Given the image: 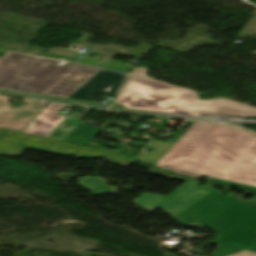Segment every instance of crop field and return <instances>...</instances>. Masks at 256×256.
Listing matches in <instances>:
<instances>
[{"label": "crop field", "mask_w": 256, "mask_h": 256, "mask_svg": "<svg viewBox=\"0 0 256 256\" xmlns=\"http://www.w3.org/2000/svg\"><path fill=\"white\" fill-rule=\"evenodd\" d=\"M155 166L256 187V135L228 125L195 122Z\"/></svg>", "instance_id": "obj_1"}, {"label": "crop field", "mask_w": 256, "mask_h": 256, "mask_svg": "<svg viewBox=\"0 0 256 256\" xmlns=\"http://www.w3.org/2000/svg\"><path fill=\"white\" fill-rule=\"evenodd\" d=\"M198 185L187 182L167 196L144 193L132 203L149 212L160 207L184 226L218 232L217 238L208 244L233 245L256 252V205L224 196L214 186Z\"/></svg>", "instance_id": "obj_2"}, {"label": "crop field", "mask_w": 256, "mask_h": 256, "mask_svg": "<svg viewBox=\"0 0 256 256\" xmlns=\"http://www.w3.org/2000/svg\"><path fill=\"white\" fill-rule=\"evenodd\" d=\"M146 68H134L114 103L132 106L256 112V108L224 98L201 101L197 92L148 78Z\"/></svg>", "instance_id": "obj_3"}, {"label": "crop field", "mask_w": 256, "mask_h": 256, "mask_svg": "<svg viewBox=\"0 0 256 256\" xmlns=\"http://www.w3.org/2000/svg\"><path fill=\"white\" fill-rule=\"evenodd\" d=\"M41 58L6 89L68 98L89 80L99 68Z\"/></svg>", "instance_id": "obj_4"}, {"label": "crop field", "mask_w": 256, "mask_h": 256, "mask_svg": "<svg viewBox=\"0 0 256 256\" xmlns=\"http://www.w3.org/2000/svg\"><path fill=\"white\" fill-rule=\"evenodd\" d=\"M26 148L56 155H73L77 158L84 159L104 156L112 164L124 166L132 162L130 159L111 152H102L90 148L0 130V155L18 156Z\"/></svg>", "instance_id": "obj_5"}, {"label": "crop field", "mask_w": 256, "mask_h": 256, "mask_svg": "<svg viewBox=\"0 0 256 256\" xmlns=\"http://www.w3.org/2000/svg\"><path fill=\"white\" fill-rule=\"evenodd\" d=\"M127 75L101 69L69 98L97 102L100 94L115 96Z\"/></svg>", "instance_id": "obj_6"}, {"label": "crop field", "mask_w": 256, "mask_h": 256, "mask_svg": "<svg viewBox=\"0 0 256 256\" xmlns=\"http://www.w3.org/2000/svg\"><path fill=\"white\" fill-rule=\"evenodd\" d=\"M9 98L8 96L0 95V129L18 133H21L48 104L46 102L25 99V102H29V104L15 110L9 108Z\"/></svg>", "instance_id": "obj_7"}, {"label": "crop field", "mask_w": 256, "mask_h": 256, "mask_svg": "<svg viewBox=\"0 0 256 256\" xmlns=\"http://www.w3.org/2000/svg\"><path fill=\"white\" fill-rule=\"evenodd\" d=\"M40 57L9 52L0 58V89H5Z\"/></svg>", "instance_id": "obj_8"}, {"label": "crop field", "mask_w": 256, "mask_h": 256, "mask_svg": "<svg viewBox=\"0 0 256 256\" xmlns=\"http://www.w3.org/2000/svg\"><path fill=\"white\" fill-rule=\"evenodd\" d=\"M103 129L79 123L64 141L87 146Z\"/></svg>", "instance_id": "obj_9"}, {"label": "crop field", "mask_w": 256, "mask_h": 256, "mask_svg": "<svg viewBox=\"0 0 256 256\" xmlns=\"http://www.w3.org/2000/svg\"><path fill=\"white\" fill-rule=\"evenodd\" d=\"M108 182L99 177H81L78 185L91 191L92 195L117 193V187L107 186Z\"/></svg>", "instance_id": "obj_10"}, {"label": "crop field", "mask_w": 256, "mask_h": 256, "mask_svg": "<svg viewBox=\"0 0 256 256\" xmlns=\"http://www.w3.org/2000/svg\"><path fill=\"white\" fill-rule=\"evenodd\" d=\"M172 145V143L168 142L152 141L149 147L157 149L158 152L153 153L151 156H139L136 159L142 160L148 164H155Z\"/></svg>", "instance_id": "obj_11"}, {"label": "crop field", "mask_w": 256, "mask_h": 256, "mask_svg": "<svg viewBox=\"0 0 256 256\" xmlns=\"http://www.w3.org/2000/svg\"><path fill=\"white\" fill-rule=\"evenodd\" d=\"M145 110L166 112V113H179V114H187V115H195V116H208V117H256V114L215 113V112L154 110V109H145Z\"/></svg>", "instance_id": "obj_12"}, {"label": "crop field", "mask_w": 256, "mask_h": 256, "mask_svg": "<svg viewBox=\"0 0 256 256\" xmlns=\"http://www.w3.org/2000/svg\"><path fill=\"white\" fill-rule=\"evenodd\" d=\"M208 185H226V186H236L244 191H246L247 193L242 195V196H238L237 198L241 199L242 201H244L242 198L247 195L248 193H251L253 195L256 196V188L255 187H250V186H246V185H241V184H237V183H232V182H228V181H223V180H219V179H214V178H210L208 177ZM246 202H255L256 203V198L255 200H249Z\"/></svg>", "instance_id": "obj_13"}, {"label": "crop field", "mask_w": 256, "mask_h": 256, "mask_svg": "<svg viewBox=\"0 0 256 256\" xmlns=\"http://www.w3.org/2000/svg\"><path fill=\"white\" fill-rule=\"evenodd\" d=\"M132 66L133 65H128V64L120 63V61H117V60H112L111 62H109L105 66V68H109V69H113V70L129 73V71H130Z\"/></svg>", "instance_id": "obj_14"}, {"label": "crop field", "mask_w": 256, "mask_h": 256, "mask_svg": "<svg viewBox=\"0 0 256 256\" xmlns=\"http://www.w3.org/2000/svg\"><path fill=\"white\" fill-rule=\"evenodd\" d=\"M245 251L244 249L233 247V246H220L215 253L221 256H228L238 252Z\"/></svg>", "instance_id": "obj_15"}, {"label": "crop field", "mask_w": 256, "mask_h": 256, "mask_svg": "<svg viewBox=\"0 0 256 256\" xmlns=\"http://www.w3.org/2000/svg\"><path fill=\"white\" fill-rule=\"evenodd\" d=\"M44 56L50 57V58H55V59L67 60V61H71V62H75L76 60H78L77 58H71V57L60 56V55L49 54V53H46Z\"/></svg>", "instance_id": "obj_16"}, {"label": "crop field", "mask_w": 256, "mask_h": 256, "mask_svg": "<svg viewBox=\"0 0 256 256\" xmlns=\"http://www.w3.org/2000/svg\"><path fill=\"white\" fill-rule=\"evenodd\" d=\"M232 256H256V253L245 251V252L238 253V254H235V255H232Z\"/></svg>", "instance_id": "obj_17"}, {"label": "crop field", "mask_w": 256, "mask_h": 256, "mask_svg": "<svg viewBox=\"0 0 256 256\" xmlns=\"http://www.w3.org/2000/svg\"><path fill=\"white\" fill-rule=\"evenodd\" d=\"M124 107H132V106H124ZM134 108H150V107H134ZM154 109H168V108H154ZM175 110H186V109H175ZM195 111H204V110H195ZM215 112H222V111H215ZM240 113V112H236Z\"/></svg>", "instance_id": "obj_18"}, {"label": "crop field", "mask_w": 256, "mask_h": 256, "mask_svg": "<svg viewBox=\"0 0 256 256\" xmlns=\"http://www.w3.org/2000/svg\"><path fill=\"white\" fill-rule=\"evenodd\" d=\"M8 50L0 49V53H6Z\"/></svg>", "instance_id": "obj_19"}, {"label": "crop field", "mask_w": 256, "mask_h": 256, "mask_svg": "<svg viewBox=\"0 0 256 256\" xmlns=\"http://www.w3.org/2000/svg\"><path fill=\"white\" fill-rule=\"evenodd\" d=\"M211 255H212V256H218V255H216V254H214V253H213V254H211Z\"/></svg>", "instance_id": "obj_20"}]
</instances>
